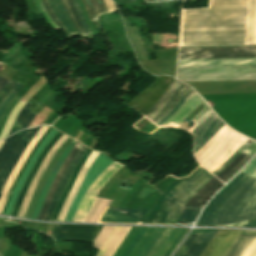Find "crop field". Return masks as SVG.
I'll return each instance as SVG.
<instances>
[{
  "label": "crop field",
  "mask_w": 256,
  "mask_h": 256,
  "mask_svg": "<svg viewBox=\"0 0 256 256\" xmlns=\"http://www.w3.org/2000/svg\"><path fill=\"white\" fill-rule=\"evenodd\" d=\"M251 156L241 153L233 162H231L222 172H220L216 177L221 181H225L229 176H231L243 163H245Z\"/></svg>",
  "instance_id": "obj_26"
},
{
  "label": "crop field",
  "mask_w": 256,
  "mask_h": 256,
  "mask_svg": "<svg viewBox=\"0 0 256 256\" xmlns=\"http://www.w3.org/2000/svg\"><path fill=\"white\" fill-rule=\"evenodd\" d=\"M86 148L87 147H85L84 145H81L79 150L76 152L73 160L70 162V164H69V166H68V168H67V170H66V172H65V174H64V176H63V178H62V180H61V182H60V184H59V186L56 190V193H55V195H54V197H53V199H52V201L49 205V208L47 210V213H46V216H45L44 220H49L50 219L51 214L53 212V209H54V207L57 203V200H58L66 182L68 181V179H69V177H70V175L73 171V168H74L75 164L77 163V161L79 160L80 156L82 155V153L85 151Z\"/></svg>",
  "instance_id": "obj_18"
},
{
  "label": "crop field",
  "mask_w": 256,
  "mask_h": 256,
  "mask_svg": "<svg viewBox=\"0 0 256 256\" xmlns=\"http://www.w3.org/2000/svg\"><path fill=\"white\" fill-rule=\"evenodd\" d=\"M28 106H29V104L26 103V105L21 109V111L18 114L14 123L29 126V124L31 123V121L33 120V118L36 115H32V114L28 113V111H29V109H27ZM16 124L13 125L9 135H11L23 128H27L26 126H21V125H16Z\"/></svg>",
  "instance_id": "obj_27"
},
{
  "label": "crop field",
  "mask_w": 256,
  "mask_h": 256,
  "mask_svg": "<svg viewBox=\"0 0 256 256\" xmlns=\"http://www.w3.org/2000/svg\"><path fill=\"white\" fill-rule=\"evenodd\" d=\"M22 87L20 84H16L12 90L8 93V95L3 99V101L0 103V115L3 112L4 108L6 107L7 103L14 97V95L19 91V89Z\"/></svg>",
  "instance_id": "obj_32"
},
{
  "label": "crop field",
  "mask_w": 256,
  "mask_h": 256,
  "mask_svg": "<svg viewBox=\"0 0 256 256\" xmlns=\"http://www.w3.org/2000/svg\"><path fill=\"white\" fill-rule=\"evenodd\" d=\"M255 239L256 231H244L226 256H243Z\"/></svg>",
  "instance_id": "obj_22"
},
{
  "label": "crop field",
  "mask_w": 256,
  "mask_h": 256,
  "mask_svg": "<svg viewBox=\"0 0 256 256\" xmlns=\"http://www.w3.org/2000/svg\"><path fill=\"white\" fill-rule=\"evenodd\" d=\"M67 3H68V5H69V8H70V10H71V12H72V14H73V16H74V18H75L77 24H78L80 30H81L82 33H83L84 37H87V35H86V33H85V31H84V29H83V27H82V25H81L79 19H78V15H77V12H76V9H75V7H74V5H73L72 0H67Z\"/></svg>",
  "instance_id": "obj_35"
},
{
  "label": "crop field",
  "mask_w": 256,
  "mask_h": 256,
  "mask_svg": "<svg viewBox=\"0 0 256 256\" xmlns=\"http://www.w3.org/2000/svg\"><path fill=\"white\" fill-rule=\"evenodd\" d=\"M254 226H256V220L251 222V223H248V224H246V225H244L242 227H254Z\"/></svg>",
  "instance_id": "obj_39"
},
{
  "label": "crop field",
  "mask_w": 256,
  "mask_h": 256,
  "mask_svg": "<svg viewBox=\"0 0 256 256\" xmlns=\"http://www.w3.org/2000/svg\"><path fill=\"white\" fill-rule=\"evenodd\" d=\"M67 137H68V136H66V135L63 134L62 137L55 143V145L51 148V150L49 151V153L46 155V157H45V159H44V161H43L41 167L39 168V170H38V172H37V174H36V176H35V178H34L32 184H31V186H30V188H29V190H28V192H27V194H26V196H25L23 205H22V207H21V210H20L18 216H20V217H23V216H24L25 211H26V208H27L28 203H29V201H30V198H31V196H32V194H33V191H34V189H35V187H36V184H37V182H38V180H39L41 174H42V173L44 172V170L46 169V167H47V165H48V163H49V161H50L52 155H53V154L55 153V151L59 148V146L67 139Z\"/></svg>",
  "instance_id": "obj_16"
},
{
  "label": "crop field",
  "mask_w": 256,
  "mask_h": 256,
  "mask_svg": "<svg viewBox=\"0 0 256 256\" xmlns=\"http://www.w3.org/2000/svg\"><path fill=\"white\" fill-rule=\"evenodd\" d=\"M203 100L195 93L187 102H185L169 119L163 124L172 122L178 125L189 113H191ZM212 111L207 106L200 114H198L192 122L195 125L189 130L190 132L198 126V124L206 118Z\"/></svg>",
  "instance_id": "obj_11"
},
{
  "label": "crop field",
  "mask_w": 256,
  "mask_h": 256,
  "mask_svg": "<svg viewBox=\"0 0 256 256\" xmlns=\"http://www.w3.org/2000/svg\"><path fill=\"white\" fill-rule=\"evenodd\" d=\"M100 154V153H99ZM98 155V152H94L92 151L91 155L89 156V158L87 159L86 163L84 164L80 174L78 175L69 195H68V198L63 206V209L58 217V220L57 221H63L66 214H67V211H68V208L74 198V196L76 195L80 185H81V182L90 166V164L92 163V161L95 159V157Z\"/></svg>",
  "instance_id": "obj_19"
},
{
  "label": "crop field",
  "mask_w": 256,
  "mask_h": 256,
  "mask_svg": "<svg viewBox=\"0 0 256 256\" xmlns=\"http://www.w3.org/2000/svg\"><path fill=\"white\" fill-rule=\"evenodd\" d=\"M8 81L0 78V89L7 83Z\"/></svg>",
  "instance_id": "obj_40"
},
{
  "label": "crop field",
  "mask_w": 256,
  "mask_h": 256,
  "mask_svg": "<svg viewBox=\"0 0 256 256\" xmlns=\"http://www.w3.org/2000/svg\"><path fill=\"white\" fill-rule=\"evenodd\" d=\"M1 66H2V63H0V68H1Z\"/></svg>",
  "instance_id": "obj_43"
},
{
  "label": "crop field",
  "mask_w": 256,
  "mask_h": 256,
  "mask_svg": "<svg viewBox=\"0 0 256 256\" xmlns=\"http://www.w3.org/2000/svg\"><path fill=\"white\" fill-rule=\"evenodd\" d=\"M167 229L154 228L142 248L139 250L136 256H149L153 248L159 242Z\"/></svg>",
  "instance_id": "obj_24"
},
{
  "label": "crop field",
  "mask_w": 256,
  "mask_h": 256,
  "mask_svg": "<svg viewBox=\"0 0 256 256\" xmlns=\"http://www.w3.org/2000/svg\"><path fill=\"white\" fill-rule=\"evenodd\" d=\"M39 128L40 126L33 129H25L21 134L34 136ZM17 133L7 137L0 149V195L7 178L33 139L31 136L20 135Z\"/></svg>",
  "instance_id": "obj_7"
},
{
  "label": "crop field",
  "mask_w": 256,
  "mask_h": 256,
  "mask_svg": "<svg viewBox=\"0 0 256 256\" xmlns=\"http://www.w3.org/2000/svg\"><path fill=\"white\" fill-rule=\"evenodd\" d=\"M51 128H52V127H50V128L45 132V134L41 137V139H40V140L37 142V144L34 146L32 152L30 153V155H29V157H28V159L26 160L25 164L23 165V167H22L20 173H19L18 176L15 178V180H14V182H13V185H12V187H11V190H10V192H9V194H8L7 200H6V202H5L4 208H3V210H2V213H4L5 207H6L7 202H8V198H9V196H10V194H11V192H12V190H13V188H14L16 182H17V180L19 179L21 173L23 172V170H24V168L26 167L28 161L30 160V158H31V156H32V154H33V152L35 151V149L37 148V146L39 145V143L41 142V140H42V139L46 136V134L51 130ZM2 213H1V214H2Z\"/></svg>",
  "instance_id": "obj_31"
},
{
  "label": "crop field",
  "mask_w": 256,
  "mask_h": 256,
  "mask_svg": "<svg viewBox=\"0 0 256 256\" xmlns=\"http://www.w3.org/2000/svg\"><path fill=\"white\" fill-rule=\"evenodd\" d=\"M91 151L92 150L87 148V150L85 151V153L83 154L81 159L78 161L77 166H76L73 174L71 175V177H70V179H69V181H68V183H67V185H66V187H65V189H64V191H63V193H62V195H61V197H60V199H59V201L57 203V206H56V208H55V210H54L50 220L56 221V219H57V217H58V215H59V213H60V211L62 209L64 201H65V199H66V197H67V195H68V193H69V191H70V189H71V187H72V185H73V183H74V181H75V179H76V177H77L81 167L83 166L84 162L88 158V156L91 153Z\"/></svg>",
  "instance_id": "obj_20"
},
{
  "label": "crop field",
  "mask_w": 256,
  "mask_h": 256,
  "mask_svg": "<svg viewBox=\"0 0 256 256\" xmlns=\"http://www.w3.org/2000/svg\"><path fill=\"white\" fill-rule=\"evenodd\" d=\"M109 203L108 200L97 198L94 206L88 214L85 222H98L105 206ZM107 207V206H106Z\"/></svg>",
  "instance_id": "obj_28"
},
{
  "label": "crop field",
  "mask_w": 256,
  "mask_h": 256,
  "mask_svg": "<svg viewBox=\"0 0 256 256\" xmlns=\"http://www.w3.org/2000/svg\"><path fill=\"white\" fill-rule=\"evenodd\" d=\"M63 133L59 132L55 135V137L50 140L49 144L46 146V148L42 151L41 155L39 156L38 160L36 161L35 165L33 166L27 180L25 181L20 193H19V196L17 198V201L15 203V207L11 213V215L13 216H17L19 210H20V207L22 205V202H23V199H24V196H25V193L34 177V175L36 174L43 158L45 157V155L48 153V151L50 150V148L54 145V143L60 138V136L62 135Z\"/></svg>",
  "instance_id": "obj_15"
},
{
  "label": "crop field",
  "mask_w": 256,
  "mask_h": 256,
  "mask_svg": "<svg viewBox=\"0 0 256 256\" xmlns=\"http://www.w3.org/2000/svg\"><path fill=\"white\" fill-rule=\"evenodd\" d=\"M146 210L106 209L100 222L139 223Z\"/></svg>",
  "instance_id": "obj_13"
},
{
  "label": "crop field",
  "mask_w": 256,
  "mask_h": 256,
  "mask_svg": "<svg viewBox=\"0 0 256 256\" xmlns=\"http://www.w3.org/2000/svg\"><path fill=\"white\" fill-rule=\"evenodd\" d=\"M58 130L52 128V130L49 132V134L45 137V139L42 141V143L40 144V146L38 147V149L36 150V152L34 153V155L32 156L31 160L29 161L26 169L24 170L23 174L21 175L14 191L12 192L11 196H10V199H9V203H8V206H7V209L5 211V215H10L11 213V210H12V207L15 203V200H16V197L29 173V171L31 170L32 166L34 165L38 155L41 153V151L43 150L44 146L48 143V141L50 139L53 138V136L56 134Z\"/></svg>",
  "instance_id": "obj_14"
},
{
  "label": "crop field",
  "mask_w": 256,
  "mask_h": 256,
  "mask_svg": "<svg viewBox=\"0 0 256 256\" xmlns=\"http://www.w3.org/2000/svg\"><path fill=\"white\" fill-rule=\"evenodd\" d=\"M61 1H62L63 5H64V7H65V9H66V11H67V13H68V15L70 16L71 20L73 21V23H74L76 29L78 30L79 34H80L81 36H83L82 33L80 32L78 26L76 25V23H75V21H74L72 15H71V13H70V10H69V8H68V5H67V3H66V0H61Z\"/></svg>",
  "instance_id": "obj_38"
},
{
  "label": "crop field",
  "mask_w": 256,
  "mask_h": 256,
  "mask_svg": "<svg viewBox=\"0 0 256 256\" xmlns=\"http://www.w3.org/2000/svg\"><path fill=\"white\" fill-rule=\"evenodd\" d=\"M224 124L213 113L206 118L196 129L191 133L195 137L194 152L200 148L208 139H210Z\"/></svg>",
  "instance_id": "obj_12"
},
{
  "label": "crop field",
  "mask_w": 256,
  "mask_h": 256,
  "mask_svg": "<svg viewBox=\"0 0 256 256\" xmlns=\"http://www.w3.org/2000/svg\"><path fill=\"white\" fill-rule=\"evenodd\" d=\"M50 5L55 12L58 19L61 21L63 26L69 32L70 35L77 33L75 27L73 26L70 18L68 17L67 13L65 12L62 3L60 0H49Z\"/></svg>",
  "instance_id": "obj_23"
},
{
  "label": "crop field",
  "mask_w": 256,
  "mask_h": 256,
  "mask_svg": "<svg viewBox=\"0 0 256 256\" xmlns=\"http://www.w3.org/2000/svg\"><path fill=\"white\" fill-rule=\"evenodd\" d=\"M16 82L10 80L3 88L2 90L0 91V102L1 100L7 95V93L11 90V88L13 87V85L15 84Z\"/></svg>",
  "instance_id": "obj_36"
},
{
  "label": "crop field",
  "mask_w": 256,
  "mask_h": 256,
  "mask_svg": "<svg viewBox=\"0 0 256 256\" xmlns=\"http://www.w3.org/2000/svg\"><path fill=\"white\" fill-rule=\"evenodd\" d=\"M3 142H4V140L0 142V147H1V145H2Z\"/></svg>",
  "instance_id": "obj_41"
},
{
  "label": "crop field",
  "mask_w": 256,
  "mask_h": 256,
  "mask_svg": "<svg viewBox=\"0 0 256 256\" xmlns=\"http://www.w3.org/2000/svg\"><path fill=\"white\" fill-rule=\"evenodd\" d=\"M212 177L199 167L189 178L177 179L165 193L163 192L164 194L143 223L175 224L184 204ZM222 185L223 183L213 177L186 204L202 208ZM187 205L184 206L176 223L187 224L197 217L200 208Z\"/></svg>",
  "instance_id": "obj_2"
},
{
  "label": "crop field",
  "mask_w": 256,
  "mask_h": 256,
  "mask_svg": "<svg viewBox=\"0 0 256 256\" xmlns=\"http://www.w3.org/2000/svg\"><path fill=\"white\" fill-rule=\"evenodd\" d=\"M83 4L88 13L91 23L96 22V16L108 12L103 0H83Z\"/></svg>",
  "instance_id": "obj_25"
},
{
  "label": "crop field",
  "mask_w": 256,
  "mask_h": 256,
  "mask_svg": "<svg viewBox=\"0 0 256 256\" xmlns=\"http://www.w3.org/2000/svg\"><path fill=\"white\" fill-rule=\"evenodd\" d=\"M256 57V47L179 49L178 59Z\"/></svg>",
  "instance_id": "obj_8"
},
{
  "label": "crop field",
  "mask_w": 256,
  "mask_h": 256,
  "mask_svg": "<svg viewBox=\"0 0 256 256\" xmlns=\"http://www.w3.org/2000/svg\"><path fill=\"white\" fill-rule=\"evenodd\" d=\"M29 150V149H28ZM27 153V152H26ZM14 175V174H13ZM13 177V176H12ZM11 180V179H10ZM7 189V188H6ZM5 196V195H4ZM4 199V198H3ZM3 201V200H2Z\"/></svg>",
  "instance_id": "obj_42"
},
{
  "label": "crop field",
  "mask_w": 256,
  "mask_h": 256,
  "mask_svg": "<svg viewBox=\"0 0 256 256\" xmlns=\"http://www.w3.org/2000/svg\"><path fill=\"white\" fill-rule=\"evenodd\" d=\"M113 162L114 161H112L110 158L103 155L102 153L97 157V159L91 165L77 196L75 197L69 208L68 214L64 221H70L73 218L75 211L88 187Z\"/></svg>",
  "instance_id": "obj_9"
},
{
  "label": "crop field",
  "mask_w": 256,
  "mask_h": 256,
  "mask_svg": "<svg viewBox=\"0 0 256 256\" xmlns=\"http://www.w3.org/2000/svg\"><path fill=\"white\" fill-rule=\"evenodd\" d=\"M183 82L256 80V65L178 67Z\"/></svg>",
  "instance_id": "obj_5"
},
{
  "label": "crop field",
  "mask_w": 256,
  "mask_h": 256,
  "mask_svg": "<svg viewBox=\"0 0 256 256\" xmlns=\"http://www.w3.org/2000/svg\"><path fill=\"white\" fill-rule=\"evenodd\" d=\"M79 146H80V143L77 142L76 145L73 147L71 153L67 156L64 164L62 165L56 179L54 180V182H53V184L50 188V191H49V193L46 197V200H45V202H44V204L41 208V211H40L39 216H38L37 219H40V220L43 219V217L46 213V210L48 208L49 202H50V200H51V198H52V196H53V194H54V192H55V190H56V188H57V186H58V184H59V182H60V180H61V178L64 174V171H65L66 167L68 166L69 162L71 161V159L73 158V156H74L75 152L77 151V149L79 148Z\"/></svg>",
  "instance_id": "obj_21"
},
{
  "label": "crop field",
  "mask_w": 256,
  "mask_h": 256,
  "mask_svg": "<svg viewBox=\"0 0 256 256\" xmlns=\"http://www.w3.org/2000/svg\"><path fill=\"white\" fill-rule=\"evenodd\" d=\"M222 230L209 235L194 234L184 242L175 256H204ZM242 231L223 230L205 256H224Z\"/></svg>",
  "instance_id": "obj_6"
},
{
  "label": "crop field",
  "mask_w": 256,
  "mask_h": 256,
  "mask_svg": "<svg viewBox=\"0 0 256 256\" xmlns=\"http://www.w3.org/2000/svg\"><path fill=\"white\" fill-rule=\"evenodd\" d=\"M182 10L180 46L246 44L250 0H210Z\"/></svg>",
  "instance_id": "obj_1"
},
{
  "label": "crop field",
  "mask_w": 256,
  "mask_h": 256,
  "mask_svg": "<svg viewBox=\"0 0 256 256\" xmlns=\"http://www.w3.org/2000/svg\"><path fill=\"white\" fill-rule=\"evenodd\" d=\"M76 142H77V141H75V140L73 139L72 142L67 146V148L65 149V151L60 155L59 159L57 160V162H56V164H55V166H54V168H53V170H52L50 176L48 177V179H47V181H46V183H45V185H44V187H43V190H42V192H41L40 198H39V200H38V202H37V204H36L35 210H34L33 215H32L31 218H33V219H36V218H37L38 213H39V211H40V208H41V206H42V203H43V201H44V199H45V197H46V195H47V193H48V191H49V188H50V186H51V184H52V182H53V180H54V178H55L57 172L59 171V169H60V167H61V165H62V163H63L65 157L68 155V153L70 152L72 146H73Z\"/></svg>",
  "instance_id": "obj_17"
},
{
  "label": "crop field",
  "mask_w": 256,
  "mask_h": 256,
  "mask_svg": "<svg viewBox=\"0 0 256 256\" xmlns=\"http://www.w3.org/2000/svg\"><path fill=\"white\" fill-rule=\"evenodd\" d=\"M73 2H74V5H75V7H76V9H77V11H78L80 21H81V23H82V25H83V27H84L86 33H87V34L91 33L90 30H89V28H88V26H87V24H86V22H85V20H84V18H83V16H82V14H81L80 8H79L78 3H77V0H73ZM77 11H76V12H77Z\"/></svg>",
  "instance_id": "obj_37"
},
{
  "label": "crop field",
  "mask_w": 256,
  "mask_h": 256,
  "mask_svg": "<svg viewBox=\"0 0 256 256\" xmlns=\"http://www.w3.org/2000/svg\"><path fill=\"white\" fill-rule=\"evenodd\" d=\"M158 80L146 91L142 92L129 104L137 111L146 116L163 99H165L181 82L166 76L156 77ZM192 89L185 84H181L165 100H163L153 111L135 125L136 128L145 132L155 125L164 115H166L182 98Z\"/></svg>",
  "instance_id": "obj_4"
},
{
  "label": "crop field",
  "mask_w": 256,
  "mask_h": 256,
  "mask_svg": "<svg viewBox=\"0 0 256 256\" xmlns=\"http://www.w3.org/2000/svg\"><path fill=\"white\" fill-rule=\"evenodd\" d=\"M96 227L56 225L51 236L58 241H92Z\"/></svg>",
  "instance_id": "obj_10"
},
{
  "label": "crop field",
  "mask_w": 256,
  "mask_h": 256,
  "mask_svg": "<svg viewBox=\"0 0 256 256\" xmlns=\"http://www.w3.org/2000/svg\"><path fill=\"white\" fill-rule=\"evenodd\" d=\"M244 170L256 175V156ZM244 170L205 211L197 225L219 226L256 218V176Z\"/></svg>",
  "instance_id": "obj_3"
},
{
  "label": "crop field",
  "mask_w": 256,
  "mask_h": 256,
  "mask_svg": "<svg viewBox=\"0 0 256 256\" xmlns=\"http://www.w3.org/2000/svg\"><path fill=\"white\" fill-rule=\"evenodd\" d=\"M248 147L246 144H242L229 158H227L212 174L215 176L223 170L235 157H237L243 150Z\"/></svg>",
  "instance_id": "obj_30"
},
{
  "label": "crop field",
  "mask_w": 256,
  "mask_h": 256,
  "mask_svg": "<svg viewBox=\"0 0 256 256\" xmlns=\"http://www.w3.org/2000/svg\"><path fill=\"white\" fill-rule=\"evenodd\" d=\"M24 104H25L24 102H20L19 101L17 103V105L15 106V108L13 109V111L11 112V114H10V116L8 118V121H7V123H6L5 127H4L1 135H0V140L6 138V136H7L8 132H9V130H10V128H11V126H12V124H13L16 116H17V114L19 113L20 109L24 106Z\"/></svg>",
  "instance_id": "obj_29"
},
{
  "label": "crop field",
  "mask_w": 256,
  "mask_h": 256,
  "mask_svg": "<svg viewBox=\"0 0 256 256\" xmlns=\"http://www.w3.org/2000/svg\"><path fill=\"white\" fill-rule=\"evenodd\" d=\"M195 92L192 90L184 99H182L166 116H164L157 125H161L172 113H174L187 99H189Z\"/></svg>",
  "instance_id": "obj_34"
},
{
  "label": "crop field",
  "mask_w": 256,
  "mask_h": 256,
  "mask_svg": "<svg viewBox=\"0 0 256 256\" xmlns=\"http://www.w3.org/2000/svg\"><path fill=\"white\" fill-rule=\"evenodd\" d=\"M42 2H43V5H44L47 13L52 18V20L62 29V31L67 35V37L70 38V35L67 33V31L64 29V27L62 26V24L59 22V20L55 16L54 12L52 11L48 1L47 0H42Z\"/></svg>",
  "instance_id": "obj_33"
}]
</instances>
